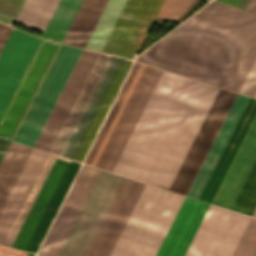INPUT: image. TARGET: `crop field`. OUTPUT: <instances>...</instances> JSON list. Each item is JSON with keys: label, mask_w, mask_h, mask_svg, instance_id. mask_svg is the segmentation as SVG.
I'll return each instance as SVG.
<instances>
[{"label": "crop field", "mask_w": 256, "mask_h": 256, "mask_svg": "<svg viewBox=\"0 0 256 256\" xmlns=\"http://www.w3.org/2000/svg\"><path fill=\"white\" fill-rule=\"evenodd\" d=\"M184 77L163 71L113 172L134 178ZM219 88L185 78L135 179L169 190ZM236 93L220 89L170 190L187 194Z\"/></svg>", "instance_id": "crop-field-1"}, {"label": "crop field", "mask_w": 256, "mask_h": 256, "mask_svg": "<svg viewBox=\"0 0 256 256\" xmlns=\"http://www.w3.org/2000/svg\"><path fill=\"white\" fill-rule=\"evenodd\" d=\"M139 182L124 178L84 256H103ZM143 184L140 183L104 256H107ZM164 190L144 184L108 256H132ZM184 196L165 191L133 256H155Z\"/></svg>", "instance_id": "crop-field-2"}, {"label": "crop field", "mask_w": 256, "mask_h": 256, "mask_svg": "<svg viewBox=\"0 0 256 256\" xmlns=\"http://www.w3.org/2000/svg\"><path fill=\"white\" fill-rule=\"evenodd\" d=\"M210 3L141 54L136 60L176 72ZM237 12L238 9L212 1L177 73L203 81Z\"/></svg>", "instance_id": "crop-field-3"}, {"label": "crop field", "mask_w": 256, "mask_h": 256, "mask_svg": "<svg viewBox=\"0 0 256 256\" xmlns=\"http://www.w3.org/2000/svg\"><path fill=\"white\" fill-rule=\"evenodd\" d=\"M100 169L82 164L38 254L58 256ZM123 176L101 171L59 256H83Z\"/></svg>", "instance_id": "crop-field-4"}, {"label": "crop field", "mask_w": 256, "mask_h": 256, "mask_svg": "<svg viewBox=\"0 0 256 256\" xmlns=\"http://www.w3.org/2000/svg\"><path fill=\"white\" fill-rule=\"evenodd\" d=\"M148 69L149 66L134 62L84 163L101 165ZM161 73L162 70L150 67L101 168L112 171Z\"/></svg>", "instance_id": "crop-field-5"}, {"label": "crop field", "mask_w": 256, "mask_h": 256, "mask_svg": "<svg viewBox=\"0 0 256 256\" xmlns=\"http://www.w3.org/2000/svg\"><path fill=\"white\" fill-rule=\"evenodd\" d=\"M81 52L61 44L13 141L34 146Z\"/></svg>", "instance_id": "crop-field-6"}, {"label": "crop field", "mask_w": 256, "mask_h": 256, "mask_svg": "<svg viewBox=\"0 0 256 256\" xmlns=\"http://www.w3.org/2000/svg\"><path fill=\"white\" fill-rule=\"evenodd\" d=\"M239 12H240V10H239ZM239 12H238V14H239ZM238 14H237V16H238ZM245 14H246V11L241 10L238 18L236 16L237 20L235 18L236 22L234 20L235 24L233 22L234 26L232 24L233 28L231 26L232 30L230 28L231 32L229 30L230 34L228 32L229 36L227 34L228 38L226 36L227 40L225 38L226 42L224 40L225 44L223 42V44H224V46L222 44L223 48H222V46L220 47L212 65H211V67H210V69H209V71H208V73H207V75L204 79V82H205V80H206V78H207V76H208V74H209V72H210V70H211V68H212L220 50H221V48H222L214 66H213V68H212V70H211V72H210V74H209V76L206 80V83L211 84V82H212V80H213V78H214V76H215V74H216V72H217V70H218V68H219V66H220V64H221V62H222L230 44H231V42H232V40H233L237 30H238L243 18H244V16H245ZM255 17H256V14H252V13L247 12V14H246L238 32H237V34H236L228 52H227L221 66H220V68H219V70H218V72H217V74H216V76H215V78L212 82V85L220 87V85H221V83H222V81H223L231 63L233 62V60H234L242 42H243V40L245 39V37H246L254 19H255ZM255 57H256V19H255L247 37H246V39L244 40V42H243L235 60H234V62L232 63V65H231V67H230L222 85H221V88H225V89H229V90L238 92V90H239V88H240V86H241L249 68L251 67Z\"/></svg>", "instance_id": "crop-field-7"}, {"label": "crop field", "mask_w": 256, "mask_h": 256, "mask_svg": "<svg viewBox=\"0 0 256 256\" xmlns=\"http://www.w3.org/2000/svg\"><path fill=\"white\" fill-rule=\"evenodd\" d=\"M248 219L210 204L184 256H230Z\"/></svg>", "instance_id": "crop-field-8"}, {"label": "crop field", "mask_w": 256, "mask_h": 256, "mask_svg": "<svg viewBox=\"0 0 256 256\" xmlns=\"http://www.w3.org/2000/svg\"><path fill=\"white\" fill-rule=\"evenodd\" d=\"M132 61L114 57L90 107L88 108L65 157L82 162L107 111L109 110Z\"/></svg>", "instance_id": "crop-field-9"}, {"label": "crop field", "mask_w": 256, "mask_h": 256, "mask_svg": "<svg viewBox=\"0 0 256 256\" xmlns=\"http://www.w3.org/2000/svg\"><path fill=\"white\" fill-rule=\"evenodd\" d=\"M162 2L127 0L102 52L134 59Z\"/></svg>", "instance_id": "crop-field-10"}, {"label": "crop field", "mask_w": 256, "mask_h": 256, "mask_svg": "<svg viewBox=\"0 0 256 256\" xmlns=\"http://www.w3.org/2000/svg\"><path fill=\"white\" fill-rule=\"evenodd\" d=\"M83 0H60L42 37L62 42ZM84 0L63 43L84 48L106 2Z\"/></svg>", "instance_id": "crop-field-11"}, {"label": "crop field", "mask_w": 256, "mask_h": 256, "mask_svg": "<svg viewBox=\"0 0 256 256\" xmlns=\"http://www.w3.org/2000/svg\"><path fill=\"white\" fill-rule=\"evenodd\" d=\"M59 46V43L42 40L24 78L22 79L4 117L0 122L1 137L12 140Z\"/></svg>", "instance_id": "crop-field-12"}, {"label": "crop field", "mask_w": 256, "mask_h": 256, "mask_svg": "<svg viewBox=\"0 0 256 256\" xmlns=\"http://www.w3.org/2000/svg\"><path fill=\"white\" fill-rule=\"evenodd\" d=\"M41 39L12 29L0 53V120Z\"/></svg>", "instance_id": "crop-field-13"}, {"label": "crop field", "mask_w": 256, "mask_h": 256, "mask_svg": "<svg viewBox=\"0 0 256 256\" xmlns=\"http://www.w3.org/2000/svg\"><path fill=\"white\" fill-rule=\"evenodd\" d=\"M99 53L83 50L60 98L58 99L35 148L51 150ZM34 147V146H33Z\"/></svg>", "instance_id": "crop-field-14"}, {"label": "crop field", "mask_w": 256, "mask_h": 256, "mask_svg": "<svg viewBox=\"0 0 256 256\" xmlns=\"http://www.w3.org/2000/svg\"><path fill=\"white\" fill-rule=\"evenodd\" d=\"M207 206L185 197L156 256H183Z\"/></svg>", "instance_id": "crop-field-15"}, {"label": "crop field", "mask_w": 256, "mask_h": 256, "mask_svg": "<svg viewBox=\"0 0 256 256\" xmlns=\"http://www.w3.org/2000/svg\"><path fill=\"white\" fill-rule=\"evenodd\" d=\"M46 156L47 153L32 149L0 212V244H3Z\"/></svg>", "instance_id": "crop-field-16"}, {"label": "crop field", "mask_w": 256, "mask_h": 256, "mask_svg": "<svg viewBox=\"0 0 256 256\" xmlns=\"http://www.w3.org/2000/svg\"><path fill=\"white\" fill-rule=\"evenodd\" d=\"M249 97L237 95L189 193L188 196L200 198L247 102Z\"/></svg>", "instance_id": "crop-field-17"}, {"label": "crop field", "mask_w": 256, "mask_h": 256, "mask_svg": "<svg viewBox=\"0 0 256 256\" xmlns=\"http://www.w3.org/2000/svg\"><path fill=\"white\" fill-rule=\"evenodd\" d=\"M255 112L256 100L251 98L201 197V200L209 203L211 202Z\"/></svg>", "instance_id": "crop-field-18"}, {"label": "crop field", "mask_w": 256, "mask_h": 256, "mask_svg": "<svg viewBox=\"0 0 256 256\" xmlns=\"http://www.w3.org/2000/svg\"><path fill=\"white\" fill-rule=\"evenodd\" d=\"M31 148L11 142L0 164V210L10 193Z\"/></svg>", "instance_id": "crop-field-19"}, {"label": "crop field", "mask_w": 256, "mask_h": 256, "mask_svg": "<svg viewBox=\"0 0 256 256\" xmlns=\"http://www.w3.org/2000/svg\"><path fill=\"white\" fill-rule=\"evenodd\" d=\"M126 0H109L85 46L100 52L104 46Z\"/></svg>", "instance_id": "crop-field-20"}, {"label": "crop field", "mask_w": 256, "mask_h": 256, "mask_svg": "<svg viewBox=\"0 0 256 256\" xmlns=\"http://www.w3.org/2000/svg\"><path fill=\"white\" fill-rule=\"evenodd\" d=\"M256 249V219L250 217L231 256H252Z\"/></svg>", "instance_id": "crop-field-21"}, {"label": "crop field", "mask_w": 256, "mask_h": 256, "mask_svg": "<svg viewBox=\"0 0 256 256\" xmlns=\"http://www.w3.org/2000/svg\"><path fill=\"white\" fill-rule=\"evenodd\" d=\"M47 0H27L16 24L33 29Z\"/></svg>", "instance_id": "crop-field-22"}, {"label": "crop field", "mask_w": 256, "mask_h": 256, "mask_svg": "<svg viewBox=\"0 0 256 256\" xmlns=\"http://www.w3.org/2000/svg\"><path fill=\"white\" fill-rule=\"evenodd\" d=\"M26 0H0V21L10 25L15 23Z\"/></svg>", "instance_id": "crop-field-23"}, {"label": "crop field", "mask_w": 256, "mask_h": 256, "mask_svg": "<svg viewBox=\"0 0 256 256\" xmlns=\"http://www.w3.org/2000/svg\"><path fill=\"white\" fill-rule=\"evenodd\" d=\"M192 0H165L158 15L175 18Z\"/></svg>", "instance_id": "crop-field-24"}, {"label": "crop field", "mask_w": 256, "mask_h": 256, "mask_svg": "<svg viewBox=\"0 0 256 256\" xmlns=\"http://www.w3.org/2000/svg\"><path fill=\"white\" fill-rule=\"evenodd\" d=\"M239 93L256 98V59L252 65Z\"/></svg>", "instance_id": "crop-field-25"}, {"label": "crop field", "mask_w": 256, "mask_h": 256, "mask_svg": "<svg viewBox=\"0 0 256 256\" xmlns=\"http://www.w3.org/2000/svg\"><path fill=\"white\" fill-rule=\"evenodd\" d=\"M58 0H48L35 27L34 30H38L43 32L56 4H57Z\"/></svg>", "instance_id": "crop-field-26"}, {"label": "crop field", "mask_w": 256, "mask_h": 256, "mask_svg": "<svg viewBox=\"0 0 256 256\" xmlns=\"http://www.w3.org/2000/svg\"><path fill=\"white\" fill-rule=\"evenodd\" d=\"M0 256H25V252L0 245Z\"/></svg>", "instance_id": "crop-field-27"}, {"label": "crop field", "mask_w": 256, "mask_h": 256, "mask_svg": "<svg viewBox=\"0 0 256 256\" xmlns=\"http://www.w3.org/2000/svg\"><path fill=\"white\" fill-rule=\"evenodd\" d=\"M10 31H11V28L0 24V51L10 33Z\"/></svg>", "instance_id": "crop-field-28"}, {"label": "crop field", "mask_w": 256, "mask_h": 256, "mask_svg": "<svg viewBox=\"0 0 256 256\" xmlns=\"http://www.w3.org/2000/svg\"><path fill=\"white\" fill-rule=\"evenodd\" d=\"M9 144H10V141H7V140H4V139L0 138V162H1L3 156L6 152Z\"/></svg>", "instance_id": "crop-field-29"}, {"label": "crop field", "mask_w": 256, "mask_h": 256, "mask_svg": "<svg viewBox=\"0 0 256 256\" xmlns=\"http://www.w3.org/2000/svg\"><path fill=\"white\" fill-rule=\"evenodd\" d=\"M246 10L256 13V0H250L246 7Z\"/></svg>", "instance_id": "crop-field-30"}, {"label": "crop field", "mask_w": 256, "mask_h": 256, "mask_svg": "<svg viewBox=\"0 0 256 256\" xmlns=\"http://www.w3.org/2000/svg\"><path fill=\"white\" fill-rule=\"evenodd\" d=\"M253 216H256V209H255V211H254V213H253Z\"/></svg>", "instance_id": "crop-field-31"}, {"label": "crop field", "mask_w": 256, "mask_h": 256, "mask_svg": "<svg viewBox=\"0 0 256 256\" xmlns=\"http://www.w3.org/2000/svg\"><path fill=\"white\" fill-rule=\"evenodd\" d=\"M37 256H40V255H37Z\"/></svg>", "instance_id": "crop-field-32"}]
</instances>
